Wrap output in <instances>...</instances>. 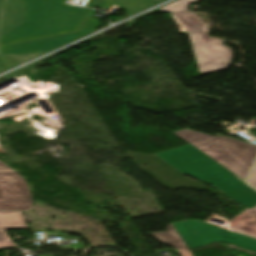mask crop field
Wrapping results in <instances>:
<instances>
[{"label": "crop field", "mask_w": 256, "mask_h": 256, "mask_svg": "<svg viewBox=\"0 0 256 256\" xmlns=\"http://www.w3.org/2000/svg\"><path fill=\"white\" fill-rule=\"evenodd\" d=\"M66 0H21L24 22L1 39V46L79 31L89 10Z\"/></svg>", "instance_id": "obj_2"}, {"label": "crop field", "mask_w": 256, "mask_h": 256, "mask_svg": "<svg viewBox=\"0 0 256 256\" xmlns=\"http://www.w3.org/2000/svg\"><path fill=\"white\" fill-rule=\"evenodd\" d=\"M231 230L256 237V208L246 210L230 221Z\"/></svg>", "instance_id": "obj_10"}, {"label": "crop field", "mask_w": 256, "mask_h": 256, "mask_svg": "<svg viewBox=\"0 0 256 256\" xmlns=\"http://www.w3.org/2000/svg\"><path fill=\"white\" fill-rule=\"evenodd\" d=\"M249 184L253 185L256 188V165L254 167V170L248 180Z\"/></svg>", "instance_id": "obj_16"}, {"label": "crop field", "mask_w": 256, "mask_h": 256, "mask_svg": "<svg viewBox=\"0 0 256 256\" xmlns=\"http://www.w3.org/2000/svg\"><path fill=\"white\" fill-rule=\"evenodd\" d=\"M189 249L201 247L210 242L231 243L256 252V240L239 233L229 232L212 224L187 221L174 224Z\"/></svg>", "instance_id": "obj_3"}, {"label": "crop field", "mask_w": 256, "mask_h": 256, "mask_svg": "<svg viewBox=\"0 0 256 256\" xmlns=\"http://www.w3.org/2000/svg\"><path fill=\"white\" fill-rule=\"evenodd\" d=\"M32 206L24 177L0 161V210H30Z\"/></svg>", "instance_id": "obj_4"}, {"label": "crop field", "mask_w": 256, "mask_h": 256, "mask_svg": "<svg viewBox=\"0 0 256 256\" xmlns=\"http://www.w3.org/2000/svg\"><path fill=\"white\" fill-rule=\"evenodd\" d=\"M164 14H166L171 20H173L188 34L190 32H203L206 42L218 43L204 31L199 19L195 15H193L189 10L185 12H179V13H164Z\"/></svg>", "instance_id": "obj_9"}, {"label": "crop field", "mask_w": 256, "mask_h": 256, "mask_svg": "<svg viewBox=\"0 0 256 256\" xmlns=\"http://www.w3.org/2000/svg\"><path fill=\"white\" fill-rule=\"evenodd\" d=\"M23 22V6L20 0H0V39Z\"/></svg>", "instance_id": "obj_7"}, {"label": "crop field", "mask_w": 256, "mask_h": 256, "mask_svg": "<svg viewBox=\"0 0 256 256\" xmlns=\"http://www.w3.org/2000/svg\"><path fill=\"white\" fill-rule=\"evenodd\" d=\"M189 35L201 75L228 68L232 58L230 48L221 44L206 43L202 33Z\"/></svg>", "instance_id": "obj_5"}, {"label": "crop field", "mask_w": 256, "mask_h": 256, "mask_svg": "<svg viewBox=\"0 0 256 256\" xmlns=\"http://www.w3.org/2000/svg\"><path fill=\"white\" fill-rule=\"evenodd\" d=\"M92 13H93V10H91L80 32L60 35V36H55V37H50V38H45L40 40H34V41H29V42L14 44V45L3 46L1 47V54L11 55V54L49 51L73 39H76L80 36L90 33L96 30L100 23L98 20L90 18Z\"/></svg>", "instance_id": "obj_6"}, {"label": "crop field", "mask_w": 256, "mask_h": 256, "mask_svg": "<svg viewBox=\"0 0 256 256\" xmlns=\"http://www.w3.org/2000/svg\"><path fill=\"white\" fill-rule=\"evenodd\" d=\"M197 0H178L174 3H171L163 8L161 10L163 12H178V11H185L188 10L187 7L191 2H194Z\"/></svg>", "instance_id": "obj_13"}, {"label": "crop field", "mask_w": 256, "mask_h": 256, "mask_svg": "<svg viewBox=\"0 0 256 256\" xmlns=\"http://www.w3.org/2000/svg\"><path fill=\"white\" fill-rule=\"evenodd\" d=\"M191 144L156 155L182 174L194 176L236 202L254 209L256 191L243 183L256 157V146L193 130L174 132Z\"/></svg>", "instance_id": "obj_1"}, {"label": "crop field", "mask_w": 256, "mask_h": 256, "mask_svg": "<svg viewBox=\"0 0 256 256\" xmlns=\"http://www.w3.org/2000/svg\"><path fill=\"white\" fill-rule=\"evenodd\" d=\"M154 4L153 0H116L113 5L124 9L129 16Z\"/></svg>", "instance_id": "obj_12"}, {"label": "crop field", "mask_w": 256, "mask_h": 256, "mask_svg": "<svg viewBox=\"0 0 256 256\" xmlns=\"http://www.w3.org/2000/svg\"><path fill=\"white\" fill-rule=\"evenodd\" d=\"M19 64L17 59L13 56L10 57H0V72L7 70L15 65Z\"/></svg>", "instance_id": "obj_14"}, {"label": "crop field", "mask_w": 256, "mask_h": 256, "mask_svg": "<svg viewBox=\"0 0 256 256\" xmlns=\"http://www.w3.org/2000/svg\"><path fill=\"white\" fill-rule=\"evenodd\" d=\"M112 2L113 0H89L86 6L89 8L91 6L110 8Z\"/></svg>", "instance_id": "obj_15"}, {"label": "crop field", "mask_w": 256, "mask_h": 256, "mask_svg": "<svg viewBox=\"0 0 256 256\" xmlns=\"http://www.w3.org/2000/svg\"><path fill=\"white\" fill-rule=\"evenodd\" d=\"M27 228L23 211H0V247L14 246L5 229Z\"/></svg>", "instance_id": "obj_8"}, {"label": "crop field", "mask_w": 256, "mask_h": 256, "mask_svg": "<svg viewBox=\"0 0 256 256\" xmlns=\"http://www.w3.org/2000/svg\"><path fill=\"white\" fill-rule=\"evenodd\" d=\"M152 236H154L164 244L174 247L181 256H193L173 224L169 225L168 232L156 233L152 234Z\"/></svg>", "instance_id": "obj_11"}]
</instances>
